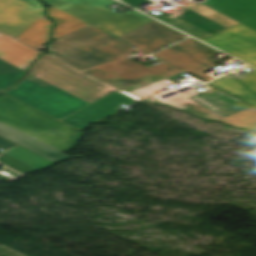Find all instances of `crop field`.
I'll use <instances>...</instances> for the list:
<instances>
[{
	"instance_id": "19",
	"label": "crop field",
	"mask_w": 256,
	"mask_h": 256,
	"mask_svg": "<svg viewBox=\"0 0 256 256\" xmlns=\"http://www.w3.org/2000/svg\"><path fill=\"white\" fill-rule=\"evenodd\" d=\"M238 129L252 131L256 129V108L220 121Z\"/></svg>"
},
{
	"instance_id": "10",
	"label": "crop field",
	"mask_w": 256,
	"mask_h": 256,
	"mask_svg": "<svg viewBox=\"0 0 256 256\" xmlns=\"http://www.w3.org/2000/svg\"><path fill=\"white\" fill-rule=\"evenodd\" d=\"M48 13L49 17L57 22L53 38H58L62 35L88 25L52 6L48 8ZM46 18L48 17L40 18L16 39L34 48L49 41V32L50 29L53 28V25L51 21Z\"/></svg>"
},
{
	"instance_id": "8",
	"label": "crop field",
	"mask_w": 256,
	"mask_h": 256,
	"mask_svg": "<svg viewBox=\"0 0 256 256\" xmlns=\"http://www.w3.org/2000/svg\"><path fill=\"white\" fill-rule=\"evenodd\" d=\"M44 10L38 0H0V31L16 38L45 16Z\"/></svg>"
},
{
	"instance_id": "21",
	"label": "crop field",
	"mask_w": 256,
	"mask_h": 256,
	"mask_svg": "<svg viewBox=\"0 0 256 256\" xmlns=\"http://www.w3.org/2000/svg\"><path fill=\"white\" fill-rule=\"evenodd\" d=\"M171 83L175 84L176 82L167 78V79H164L162 81H159V82L150 84L148 86L136 89L134 91L128 92V94L142 100V99L151 97V96L159 93L158 91H156L154 89L165 86V85H168V84H171Z\"/></svg>"
},
{
	"instance_id": "5",
	"label": "crop field",
	"mask_w": 256,
	"mask_h": 256,
	"mask_svg": "<svg viewBox=\"0 0 256 256\" xmlns=\"http://www.w3.org/2000/svg\"><path fill=\"white\" fill-rule=\"evenodd\" d=\"M8 94L58 120L90 105L31 74Z\"/></svg>"
},
{
	"instance_id": "11",
	"label": "crop field",
	"mask_w": 256,
	"mask_h": 256,
	"mask_svg": "<svg viewBox=\"0 0 256 256\" xmlns=\"http://www.w3.org/2000/svg\"><path fill=\"white\" fill-rule=\"evenodd\" d=\"M187 36L153 20L119 38L152 54Z\"/></svg>"
},
{
	"instance_id": "20",
	"label": "crop field",
	"mask_w": 256,
	"mask_h": 256,
	"mask_svg": "<svg viewBox=\"0 0 256 256\" xmlns=\"http://www.w3.org/2000/svg\"><path fill=\"white\" fill-rule=\"evenodd\" d=\"M25 71L0 59V91L11 87Z\"/></svg>"
},
{
	"instance_id": "14",
	"label": "crop field",
	"mask_w": 256,
	"mask_h": 256,
	"mask_svg": "<svg viewBox=\"0 0 256 256\" xmlns=\"http://www.w3.org/2000/svg\"><path fill=\"white\" fill-rule=\"evenodd\" d=\"M209 84L256 107V70L254 69L239 77L230 73Z\"/></svg>"
},
{
	"instance_id": "24",
	"label": "crop field",
	"mask_w": 256,
	"mask_h": 256,
	"mask_svg": "<svg viewBox=\"0 0 256 256\" xmlns=\"http://www.w3.org/2000/svg\"><path fill=\"white\" fill-rule=\"evenodd\" d=\"M7 178H9V177L3 176V175L0 174V180H2V179H7Z\"/></svg>"
},
{
	"instance_id": "3",
	"label": "crop field",
	"mask_w": 256,
	"mask_h": 256,
	"mask_svg": "<svg viewBox=\"0 0 256 256\" xmlns=\"http://www.w3.org/2000/svg\"><path fill=\"white\" fill-rule=\"evenodd\" d=\"M0 121L64 153L72 150L84 133L8 95L0 96Z\"/></svg>"
},
{
	"instance_id": "1",
	"label": "crop field",
	"mask_w": 256,
	"mask_h": 256,
	"mask_svg": "<svg viewBox=\"0 0 256 256\" xmlns=\"http://www.w3.org/2000/svg\"><path fill=\"white\" fill-rule=\"evenodd\" d=\"M90 25L49 43V55L126 92L181 73L164 63L144 67L125 57L138 50Z\"/></svg>"
},
{
	"instance_id": "15",
	"label": "crop field",
	"mask_w": 256,
	"mask_h": 256,
	"mask_svg": "<svg viewBox=\"0 0 256 256\" xmlns=\"http://www.w3.org/2000/svg\"><path fill=\"white\" fill-rule=\"evenodd\" d=\"M0 135L17 143L20 144L56 163L65 161L69 158L70 156L63 154L5 124L0 122Z\"/></svg>"
},
{
	"instance_id": "23",
	"label": "crop field",
	"mask_w": 256,
	"mask_h": 256,
	"mask_svg": "<svg viewBox=\"0 0 256 256\" xmlns=\"http://www.w3.org/2000/svg\"><path fill=\"white\" fill-rule=\"evenodd\" d=\"M3 170L10 172V174H12V175H14V176H16V177H19V176H20V174H18V173H16V172L12 171V170H10V169H8V168H6V167H4Z\"/></svg>"
},
{
	"instance_id": "22",
	"label": "crop field",
	"mask_w": 256,
	"mask_h": 256,
	"mask_svg": "<svg viewBox=\"0 0 256 256\" xmlns=\"http://www.w3.org/2000/svg\"><path fill=\"white\" fill-rule=\"evenodd\" d=\"M122 1H124V2H126V3H128V4H130V5H132V6L136 7V8H138V9H140L141 7H139V6H137V5H139V4H141V3L145 2V1H147V2H149V3H152V2L149 1V0H122Z\"/></svg>"
},
{
	"instance_id": "2",
	"label": "crop field",
	"mask_w": 256,
	"mask_h": 256,
	"mask_svg": "<svg viewBox=\"0 0 256 256\" xmlns=\"http://www.w3.org/2000/svg\"><path fill=\"white\" fill-rule=\"evenodd\" d=\"M158 19L199 39L238 22L256 30V0H207L205 3L191 1L180 13Z\"/></svg>"
},
{
	"instance_id": "6",
	"label": "crop field",
	"mask_w": 256,
	"mask_h": 256,
	"mask_svg": "<svg viewBox=\"0 0 256 256\" xmlns=\"http://www.w3.org/2000/svg\"><path fill=\"white\" fill-rule=\"evenodd\" d=\"M203 87L208 90L187 99L178 96L163 103L214 121H220L253 108L208 84Z\"/></svg>"
},
{
	"instance_id": "9",
	"label": "crop field",
	"mask_w": 256,
	"mask_h": 256,
	"mask_svg": "<svg viewBox=\"0 0 256 256\" xmlns=\"http://www.w3.org/2000/svg\"><path fill=\"white\" fill-rule=\"evenodd\" d=\"M202 40L256 67V31L239 23Z\"/></svg>"
},
{
	"instance_id": "12",
	"label": "crop field",
	"mask_w": 256,
	"mask_h": 256,
	"mask_svg": "<svg viewBox=\"0 0 256 256\" xmlns=\"http://www.w3.org/2000/svg\"><path fill=\"white\" fill-rule=\"evenodd\" d=\"M137 101L139 100L119 89L90 106L62 119L61 121L79 130H83L88 127V124L98 121L112 113L118 112L119 110L116 108L122 107L123 104L128 106Z\"/></svg>"
},
{
	"instance_id": "18",
	"label": "crop field",
	"mask_w": 256,
	"mask_h": 256,
	"mask_svg": "<svg viewBox=\"0 0 256 256\" xmlns=\"http://www.w3.org/2000/svg\"><path fill=\"white\" fill-rule=\"evenodd\" d=\"M0 150L3 151V154L35 170L56 164L2 137H0Z\"/></svg>"
},
{
	"instance_id": "16",
	"label": "crop field",
	"mask_w": 256,
	"mask_h": 256,
	"mask_svg": "<svg viewBox=\"0 0 256 256\" xmlns=\"http://www.w3.org/2000/svg\"><path fill=\"white\" fill-rule=\"evenodd\" d=\"M40 54L0 33V58L27 71L30 63Z\"/></svg>"
},
{
	"instance_id": "13",
	"label": "crop field",
	"mask_w": 256,
	"mask_h": 256,
	"mask_svg": "<svg viewBox=\"0 0 256 256\" xmlns=\"http://www.w3.org/2000/svg\"><path fill=\"white\" fill-rule=\"evenodd\" d=\"M55 85L90 104L118 89L83 72H79Z\"/></svg>"
},
{
	"instance_id": "17",
	"label": "crop field",
	"mask_w": 256,
	"mask_h": 256,
	"mask_svg": "<svg viewBox=\"0 0 256 256\" xmlns=\"http://www.w3.org/2000/svg\"><path fill=\"white\" fill-rule=\"evenodd\" d=\"M79 71L43 55L35 62L30 73L51 83L55 84Z\"/></svg>"
},
{
	"instance_id": "4",
	"label": "crop field",
	"mask_w": 256,
	"mask_h": 256,
	"mask_svg": "<svg viewBox=\"0 0 256 256\" xmlns=\"http://www.w3.org/2000/svg\"><path fill=\"white\" fill-rule=\"evenodd\" d=\"M53 5L90 25L114 36L119 37L152 19L131 10L119 15L109 9L113 0H42Z\"/></svg>"
},
{
	"instance_id": "7",
	"label": "crop field",
	"mask_w": 256,
	"mask_h": 256,
	"mask_svg": "<svg viewBox=\"0 0 256 256\" xmlns=\"http://www.w3.org/2000/svg\"><path fill=\"white\" fill-rule=\"evenodd\" d=\"M217 53L219 52L189 38L154 55L183 71L209 81L213 78L203 71L217 66L209 59Z\"/></svg>"
}]
</instances>
